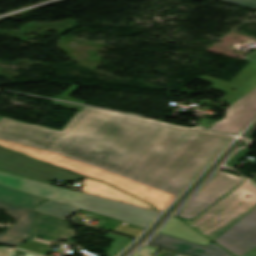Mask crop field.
I'll return each instance as SVG.
<instances>
[{"label":"crop field","instance_id":"8a807250","mask_svg":"<svg viewBox=\"0 0 256 256\" xmlns=\"http://www.w3.org/2000/svg\"><path fill=\"white\" fill-rule=\"evenodd\" d=\"M234 138L84 107L61 130L2 117L0 145L107 182L163 211Z\"/></svg>","mask_w":256,"mask_h":256},{"label":"crop field","instance_id":"ac0d7876","mask_svg":"<svg viewBox=\"0 0 256 256\" xmlns=\"http://www.w3.org/2000/svg\"><path fill=\"white\" fill-rule=\"evenodd\" d=\"M0 184L146 228L160 213L0 172Z\"/></svg>","mask_w":256,"mask_h":256},{"label":"crop field","instance_id":"34b2d1b8","mask_svg":"<svg viewBox=\"0 0 256 256\" xmlns=\"http://www.w3.org/2000/svg\"><path fill=\"white\" fill-rule=\"evenodd\" d=\"M198 79L213 83L210 88L228 93L219 101L232 104L227 110L221 108L226 110L225 117L209 130L237 135L256 118V63L250 62L230 83L207 76ZM202 103L220 108L207 100Z\"/></svg>","mask_w":256,"mask_h":256},{"label":"crop field","instance_id":"412701ff","mask_svg":"<svg viewBox=\"0 0 256 256\" xmlns=\"http://www.w3.org/2000/svg\"><path fill=\"white\" fill-rule=\"evenodd\" d=\"M255 206L256 187L246 180L195 219L185 222L214 240Z\"/></svg>","mask_w":256,"mask_h":256},{"label":"crop field","instance_id":"f4fd0767","mask_svg":"<svg viewBox=\"0 0 256 256\" xmlns=\"http://www.w3.org/2000/svg\"><path fill=\"white\" fill-rule=\"evenodd\" d=\"M0 171L45 183L49 182L51 179L73 181L82 178L1 148Z\"/></svg>","mask_w":256,"mask_h":256},{"label":"crop field","instance_id":"dd49c442","mask_svg":"<svg viewBox=\"0 0 256 256\" xmlns=\"http://www.w3.org/2000/svg\"><path fill=\"white\" fill-rule=\"evenodd\" d=\"M245 179L219 171L178 213L177 217L192 220Z\"/></svg>","mask_w":256,"mask_h":256},{"label":"crop field","instance_id":"e52e79f7","mask_svg":"<svg viewBox=\"0 0 256 256\" xmlns=\"http://www.w3.org/2000/svg\"><path fill=\"white\" fill-rule=\"evenodd\" d=\"M217 244L242 256L256 246V207L214 240Z\"/></svg>","mask_w":256,"mask_h":256},{"label":"crop field","instance_id":"d8731c3e","mask_svg":"<svg viewBox=\"0 0 256 256\" xmlns=\"http://www.w3.org/2000/svg\"><path fill=\"white\" fill-rule=\"evenodd\" d=\"M0 209H3L16 220V224L10 227L3 235L0 234V244L17 247L27 240L30 234L31 224L36 215L30 210L16 207L10 204L0 202Z\"/></svg>","mask_w":256,"mask_h":256},{"label":"crop field","instance_id":"5a996713","mask_svg":"<svg viewBox=\"0 0 256 256\" xmlns=\"http://www.w3.org/2000/svg\"><path fill=\"white\" fill-rule=\"evenodd\" d=\"M149 244L159 245L189 256H233L216 244L206 247L158 233Z\"/></svg>","mask_w":256,"mask_h":256},{"label":"crop field","instance_id":"3316defc","mask_svg":"<svg viewBox=\"0 0 256 256\" xmlns=\"http://www.w3.org/2000/svg\"><path fill=\"white\" fill-rule=\"evenodd\" d=\"M39 217L34 225L33 237L56 240L71 237L72 231L68 228V222L39 213Z\"/></svg>","mask_w":256,"mask_h":256},{"label":"crop field","instance_id":"28ad6ade","mask_svg":"<svg viewBox=\"0 0 256 256\" xmlns=\"http://www.w3.org/2000/svg\"><path fill=\"white\" fill-rule=\"evenodd\" d=\"M80 186L84 187L81 191L121 200L124 202L132 203V204L143 206L150 209H154L151 205L146 204L112 186L106 185L104 183L92 181L88 178L84 179Z\"/></svg>","mask_w":256,"mask_h":256},{"label":"crop field","instance_id":"d1516ede","mask_svg":"<svg viewBox=\"0 0 256 256\" xmlns=\"http://www.w3.org/2000/svg\"><path fill=\"white\" fill-rule=\"evenodd\" d=\"M160 233H164L204 246L210 243V240L200 236L201 234L199 235L196 231H194L175 217H173L166 224V226L160 231Z\"/></svg>","mask_w":256,"mask_h":256},{"label":"crop field","instance_id":"22f410ed","mask_svg":"<svg viewBox=\"0 0 256 256\" xmlns=\"http://www.w3.org/2000/svg\"><path fill=\"white\" fill-rule=\"evenodd\" d=\"M46 198L0 185V200L33 208Z\"/></svg>","mask_w":256,"mask_h":256},{"label":"crop field","instance_id":"cbeb9de0","mask_svg":"<svg viewBox=\"0 0 256 256\" xmlns=\"http://www.w3.org/2000/svg\"><path fill=\"white\" fill-rule=\"evenodd\" d=\"M36 210L46 212L52 215L60 216L62 218H69L71 215L76 213L79 209L72 208L69 206H65L59 203L52 202L50 200L45 203L39 205Z\"/></svg>","mask_w":256,"mask_h":256},{"label":"crop field","instance_id":"5142ce71","mask_svg":"<svg viewBox=\"0 0 256 256\" xmlns=\"http://www.w3.org/2000/svg\"><path fill=\"white\" fill-rule=\"evenodd\" d=\"M105 237L115 239L113 243L110 244L112 246L109 250L105 252L108 256H116L118 255L124 248H126L133 240L112 235L108 233Z\"/></svg>","mask_w":256,"mask_h":256},{"label":"crop field","instance_id":"d9b57169","mask_svg":"<svg viewBox=\"0 0 256 256\" xmlns=\"http://www.w3.org/2000/svg\"><path fill=\"white\" fill-rule=\"evenodd\" d=\"M51 245L52 243L31 238V240L27 242L25 245H23L22 247H20V249H24L27 251L35 252V253L46 256L48 255V252H47V249H44V248L45 246L50 247Z\"/></svg>","mask_w":256,"mask_h":256},{"label":"crop field","instance_id":"733c2abd","mask_svg":"<svg viewBox=\"0 0 256 256\" xmlns=\"http://www.w3.org/2000/svg\"><path fill=\"white\" fill-rule=\"evenodd\" d=\"M77 89H78V87L72 86L65 93H63L61 96L56 97V98L57 99H61V100H66V101H71V102L85 104L84 101H80V100L69 98Z\"/></svg>","mask_w":256,"mask_h":256},{"label":"crop field","instance_id":"4a817a6b","mask_svg":"<svg viewBox=\"0 0 256 256\" xmlns=\"http://www.w3.org/2000/svg\"><path fill=\"white\" fill-rule=\"evenodd\" d=\"M221 1L256 9V0H221Z\"/></svg>","mask_w":256,"mask_h":256},{"label":"crop field","instance_id":"bc2a9ffb","mask_svg":"<svg viewBox=\"0 0 256 256\" xmlns=\"http://www.w3.org/2000/svg\"><path fill=\"white\" fill-rule=\"evenodd\" d=\"M248 151L247 149L240 150L236 155H234L226 164L229 166L234 167L240 160H242L246 155Z\"/></svg>","mask_w":256,"mask_h":256},{"label":"crop field","instance_id":"214f88e0","mask_svg":"<svg viewBox=\"0 0 256 256\" xmlns=\"http://www.w3.org/2000/svg\"><path fill=\"white\" fill-rule=\"evenodd\" d=\"M157 248L144 246L140 250H138L134 255L132 256H151L153 252H155ZM158 251V250H157Z\"/></svg>","mask_w":256,"mask_h":256},{"label":"crop field","instance_id":"92a150f3","mask_svg":"<svg viewBox=\"0 0 256 256\" xmlns=\"http://www.w3.org/2000/svg\"><path fill=\"white\" fill-rule=\"evenodd\" d=\"M52 104L59 105V106H62V107H66V108H70V109L77 110V111H81L82 108H83V106H79V105H75V104H69V103H63V102H57V101H53Z\"/></svg>","mask_w":256,"mask_h":256},{"label":"crop field","instance_id":"dafd665d","mask_svg":"<svg viewBox=\"0 0 256 256\" xmlns=\"http://www.w3.org/2000/svg\"><path fill=\"white\" fill-rule=\"evenodd\" d=\"M246 60L256 62V50L247 56Z\"/></svg>","mask_w":256,"mask_h":256},{"label":"crop field","instance_id":"00972430","mask_svg":"<svg viewBox=\"0 0 256 256\" xmlns=\"http://www.w3.org/2000/svg\"><path fill=\"white\" fill-rule=\"evenodd\" d=\"M19 256H38V255H34V254L26 253V252H21V253H19Z\"/></svg>","mask_w":256,"mask_h":256},{"label":"crop field","instance_id":"a9b5d70f","mask_svg":"<svg viewBox=\"0 0 256 256\" xmlns=\"http://www.w3.org/2000/svg\"><path fill=\"white\" fill-rule=\"evenodd\" d=\"M245 256H256V248L253 249L252 251H250L248 254H246Z\"/></svg>","mask_w":256,"mask_h":256},{"label":"crop field","instance_id":"4177f3b9","mask_svg":"<svg viewBox=\"0 0 256 256\" xmlns=\"http://www.w3.org/2000/svg\"><path fill=\"white\" fill-rule=\"evenodd\" d=\"M8 251L13 255V256H16V249L14 248H7Z\"/></svg>","mask_w":256,"mask_h":256},{"label":"crop field","instance_id":"730fd06b","mask_svg":"<svg viewBox=\"0 0 256 256\" xmlns=\"http://www.w3.org/2000/svg\"><path fill=\"white\" fill-rule=\"evenodd\" d=\"M1 118V117H0Z\"/></svg>","mask_w":256,"mask_h":256}]
</instances>
